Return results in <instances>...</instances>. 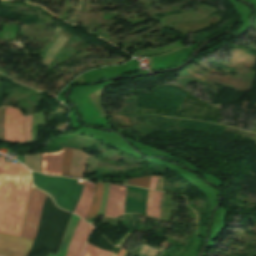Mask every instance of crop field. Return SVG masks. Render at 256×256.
Returning <instances> with one entry per match:
<instances>
[{
  "instance_id": "crop-field-1",
  "label": "crop field",
  "mask_w": 256,
  "mask_h": 256,
  "mask_svg": "<svg viewBox=\"0 0 256 256\" xmlns=\"http://www.w3.org/2000/svg\"><path fill=\"white\" fill-rule=\"evenodd\" d=\"M30 186L24 166L4 163L0 157V232L19 237Z\"/></svg>"
},
{
  "instance_id": "crop-field-2",
  "label": "crop field",
  "mask_w": 256,
  "mask_h": 256,
  "mask_svg": "<svg viewBox=\"0 0 256 256\" xmlns=\"http://www.w3.org/2000/svg\"><path fill=\"white\" fill-rule=\"evenodd\" d=\"M70 214L57 209L50 196H46L35 242L28 256L57 254Z\"/></svg>"
},
{
  "instance_id": "crop-field-3",
  "label": "crop field",
  "mask_w": 256,
  "mask_h": 256,
  "mask_svg": "<svg viewBox=\"0 0 256 256\" xmlns=\"http://www.w3.org/2000/svg\"><path fill=\"white\" fill-rule=\"evenodd\" d=\"M34 184L41 190L49 193L57 206L73 211L83 185L77 184L78 180L63 177H50L32 172Z\"/></svg>"
},
{
  "instance_id": "crop-field-4",
  "label": "crop field",
  "mask_w": 256,
  "mask_h": 256,
  "mask_svg": "<svg viewBox=\"0 0 256 256\" xmlns=\"http://www.w3.org/2000/svg\"><path fill=\"white\" fill-rule=\"evenodd\" d=\"M44 199L45 194L32 184L20 237L34 240Z\"/></svg>"
},
{
  "instance_id": "crop-field-5",
  "label": "crop field",
  "mask_w": 256,
  "mask_h": 256,
  "mask_svg": "<svg viewBox=\"0 0 256 256\" xmlns=\"http://www.w3.org/2000/svg\"><path fill=\"white\" fill-rule=\"evenodd\" d=\"M15 109L5 107L4 141L14 143ZM15 143L24 144V117L16 110Z\"/></svg>"
},
{
  "instance_id": "crop-field-6",
  "label": "crop field",
  "mask_w": 256,
  "mask_h": 256,
  "mask_svg": "<svg viewBox=\"0 0 256 256\" xmlns=\"http://www.w3.org/2000/svg\"><path fill=\"white\" fill-rule=\"evenodd\" d=\"M33 241L0 233V256H27Z\"/></svg>"
},
{
  "instance_id": "crop-field-7",
  "label": "crop field",
  "mask_w": 256,
  "mask_h": 256,
  "mask_svg": "<svg viewBox=\"0 0 256 256\" xmlns=\"http://www.w3.org/2000/svg\"><path fill=\"white\" fill-rule=\"evenodd\" d=\"M126 187L110 184L105 215L117 217L123 214Z\"/></svg>"
},
{
  "instance_id": "crop-field-8",
  "label": "crop field",
  "mask_w": 256,
  "mask_h": 256,
  "mask_svg": "<svg viewBox=\"0 0 256 256\" xmlns=\"http://www.w3.org/2000/svg\"><path fill=\"white\" fill-rule=\"evenodd\" d=\"M93 228L94 227H92L90 224L80 219L74 236L69 244L67 256L81 255L82 249L85 245V241Z\"/></svg>"
},
{
  "instance_id": "crop-field-9",
  "label": "crop field",
  "mask_w": 256,
  "mask_h": 256,
  "mask_svg": "<svg viewBox=\"0 0 256 256\" xmlns=\"http://www.w3.org/2000/svg\"><path fill=\"white\" fill-rule=\"evenodd\" d=\"M64 148L59 152L42 153L43 173L61 175Z\"/></svg>"
},
{
  "instance_id": "crop-field-10",
  "label": "crop field",
  "mask_w": 256,
  "mask_h": 256,
  "mask_svg": "<svg viewBox=\"0 0 256 256\" xmlns=\"http://www.w3.org/2000/svg\"><path fill=\"white\" fill-rule=\"evenodd\" d=\"M94 187H95V184H89V183L85 182L79 202H78L73 213L84 218V216L88 210L89 204L91 202V199H92Z\"/></svg>"
},
{
  "instance_id": "crop-field-11",
  "label": "crop field",
  "mask_w": 256,
  "mask_h": 256,
  "mask_svg": "<svg viewBox=\"0 0 256 256\" xmlns=\"http://www.w3.org/2000/svg\"><path fill=\"white\" fill-rule=\"evenodd\" d=\"M83 152L73 149V157H72L70 175L84 176L86 160H87L88 155Z\"/></svg>"
},
{
  "instance_id": "crop-field-12",
  "label": "crop field",
  "mask_w": 256,
  "mask_h": 256,
  "mask_svg": "<svg viewBox=\"0 0 256 256\" xmlns=\"http://www.w3.org/2000/svg\"><path fill=\"white\" fill-rule=\"evenodd\" d=\"M102 194H103V184L99 183V184H97L96 191H95V194L93 197V201H92V203L89 207V210L84 218L85 221L92 222L93 219L95 218V216L98 212L100 203H101Z\"/></svg>"
},
{
  "instance_id": "crop-field-13",
  "label": "crop field",
  "mask_w": 256,
  "mask_h": 256,
  "mask_svg": "<svg viewBox=\"0 0 256 256\" xmlns=\"http://www.w3.org/2000/svg\"><path fill=\"white\" fill-rule=\"evenodd\" d=\"M24 165L32 171L41 172V155H24Z\"/></svg>"
},
{
  "instance_id": "crop-field-14",
  "label": "crop field",
  "mask_w": 256,
  "mask_h": 256,
  "mask_svg": "<svg viewBox=\"0 0 256 256\" xmlns=\"http://www.w3.org/2000/svg\"><path fill=\"white\" fill-rule=\"evenodd\" d=\"M110 252L101 251L98 248L88 244L83 256H110Z\"/></svg>"
},
{
  "instance_id": "crop-field-15",
  "label": "crop field",
  "mask_w": 256,
  "mask_h": 256,
  "mask_svg": "<svg viewBox=\"0 0 256 256\" xmlns=\"http://www.w3.org/2000/svg\"><path fill=\"white\" fill-rule=\"evenodd\" d=\"M71 157H72V149L65 147V156H64L62 175H69Z\"/></svg>"
},
{
  "instance_id": "crop-field-16",
  "label": "crop field",
  "mask_w": 256,
  "mask_h": 256,
  "mask_svg": "<svg viewBox=\"0 0 256 256\" xmlns=\"http://www.w3.org/2000/svg\"><path fill=\"white\" fill-rule=\"evenodd\" d=\"M32 115L25 117V141L26 143L31 142L30 126H31Z\"/></svg>"
},
{
  "instance_id": "crop-field-17",
  "label": "crop field",
  "mask_w": 256,
  "mask_h": 256,
  "mask_svg": "<svg viewBox=\"0 0 256 256\" xmlns=\"http://www.w3.org/2000/svg\"><path fill=\"white\" fill-rule=\"evenodd\" d=\"M149 176L129 180L128 184L147 188Z\"/></svg>"
},
{
  "instance_id": "crop-field-18",
  "label": "crop field",
  "mask_w": 256,
  "mask_h": 256,
  "mask_svg": "<svg viewBox=\"0 0 256 256\" xmlns=\"http://www.w3.org/2000/svg\"><path fill=\"white\" fill-rule=\"evenodd\" d=\"M154 192L149 190L147 198V216L152 218Z\"/></svg>"
},
{
  "instance_id": "crop-field-19",
  "label": "crop field",
  "mask_w": 256,
  "mask_h": 256,
  "mask_svg": "<svg viewBox=\"0 0 256 256\" xmlns=\"http://www.w3.org/2000/svg\"><path fill=\"white\" fill-rule=\"evenodd\" d=\"M161 200V193L155 192V199H154V218L159 219V203Z\"/></svg>"
},
{
  "instance_id": "crop-field-20",
  "label": "crop field",
  "mask_w": 256,
  "mask_h": 256,
  "mask_svg": "<svg viewBox=\"0 0 256 256\" xmlns=\"http://www.w3.org/2000/svg\"><path fill=\"white\" fill-rule=\"evenodd\" d=\"M157 178H158V176L152 175L151 181H150V186H149L150 189H154L155 190L156 183H157Z\"/></svg>"
},
{
  "instance_id": "crop-field-21",
  "label": "crop field",
  "mask_w": 256,
  "mask_h": 256,
  "mask_svg": "<svg viewBox=\"0 0 256 256\" xmlns=\"http://www.w3.org/2000/svg\"><path fill=\"white\" fill-rule=\"evenodd\" d=\"M126 250H124L123 248H121V250L119 251L117 256H123Z\"/></svg>"
},
{
  "instance_id": "crop-field-22",
  "label": "crop field",
  "mask_w": 256,
  "mask_h": 256,
  "mask_svg": "<svg viewBox=\"0 0 256 256\" xmlns=\"http://www.w3.org/2000/svg\"><path fill=\"white\" fill-rule=\"evenodd\" d=\"M117 254L113 253L112 256H116Z\"/></svg>"
},
{
  "instance_id": "crop-field-23",
  "label": "crop field",
  "mask_w": 256,
  "mask_h": 256,
  "mask_svg": "<svg viewBox=\"0 0 256 256\" xmlns=\"http://www.w3.org/2000/svg\"><path fill=\"white\" fill-rule=\"evenodd\" d=\"M1 109V108H0Z\"/></svg>"
}]
</instances>
